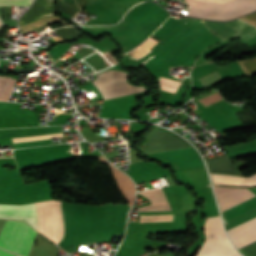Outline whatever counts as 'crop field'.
Listing matches in <instances>:
<instances>
[{
	"label": "crop field",
	"instance_id": "crop-field-1",
	"mask_svg": "<svg viewBox=\"0 0 256 256\" xmlns=\"http://www.w3.org/2000/svg\"><path fill=\"white\" fill-rule=\"evenodd\" d=\"M215 195L218 199L221 212L255 196L248 189H233V188H221L213 187ZM256 208V196L223 212V222H227L235 217H238L250 210Z\"/></svg>",
	"mask_w": 256,
	"mask_h": 256
},
{
	"label": "crop field",
	"instance_id": "crop-field-2",
	"mask_svg": "<svg viewBox=\"0 0 256 256\" xmlns=\"http://www.w3.org/2000/svg\"><path fill=\"white\" fill-rule=\"evenodd\" d=\"M203 231L206 240L195 256H241L225 237L219 216L206 218Z\"/></svg>",
	"mask_w": 256,
	"mask_h": 256
},
{
	"label": "crop field",
	"instance_id": "crop-field-3",
	"mask_svg": "<svg viewBox=\"0 0 256 256\" xmlns=\"http://www.w3.org/2000/svg\"><path fill=\"white\" fill-rule=\"evenodd\" d=\"M35 234L23 221L7 220L0 233V247L27 256Z\"/></svg>",
	"mask_w": 256,
	"mask_h": 256
},
{
	"label": "crop field",
	"instance_id": "crop-field-4",
	"mask_svg": "<svg viewBox=\"0 0 256 256\" xmlns=\"http://www.w3.org/2000/svg\"><path fill=\"white\" fill-rule=\"evenodd\" d=\"M92 83L101 92L104 100L144 91V87L135 88L125 81L129 76L118 70H109L96 75Z\"/></svg>",
	"mask_w": 256,
	"mask_h": 256
},
{
	"label": "crop field",
	"instance_id": "crop-field-5",
	"mask_svg": "<svg viewBox=\"0 0 256 256\" xmlns=\"http://www.w3.org/2000/svg\"><path fill=\"white\" fill-rule=\"evenodd\" d=\"M227 234L237 249L256 241V218L228 230ZM239 251L245 256H256V242L239 249Z\"/></svg>",
	"mask_w": 256,
	"mask_h": 256
},
{
	"label": "crop field",
	"instance_id": "crop-field-6",
	"mask_svg": "<svg viewBox=\"0 0 256 256\" xmlns=\"http://www.w3.org/2000/svg\"><path fill=\"white\" fill-rule=\"evenodd\" d=\"M206 26H208L213 32L226 40L232 39L238 36L242 42L250 39L256 35V28L239 20H233L229 22H211L203 20Z\"/></svg>",
	"mask_w": 256,
	"mask_h": 256
},
{
	"label": "crop field",
	"instance_id": "crop-field-7",
	"mask_svg": "<svg viewBox=\"0 0 256 256\" xmlns=\"http://www.w3.org/2000/svg\"><path fill=\"white\" fill-rule=\"evenodd\" d=\"M255 10H256V0H253L247 4L228 10L226 12L206 11L203 9L190 8L189 16L206 18V19L229 20Z\"/></svg>",
	"mask_w": 256,
	"mask_h": 256
},
{
	"label": "crop field",
	"instance_id": "crop-field-8",
	"mask_svg": "<svg viewBox=\"0 0 256 256\" xmlns=\"http://www.w3.org/2000/svg\"><path fill=\"white\" fill-rule=\"evenodd\" d=\"M0 217L23 219L36 229L33 203L22 205L0 204Z\"/></svg>",
	"mask_w": 256,
	"mask_h": 256
},
{
	"label": "crop field",
	"instance_id": "crop-field-9",
	"mask_svg": "<svg viewBox=\"0 0 256 256\" xmlns=\"http://www.w3.org/2000/svg\"><path fill=\"white\" fill-rule=\"evenodd\" d=\"M56 13L53 0H36L30 9L22 15L19 25L39 20Z\"/></svg>",
	"mask_w": 256,
	"mask_h": 256
},
{
	"label": "crop field",
	"instance_id": "crop-field-10",
	"mask_svg": "<svg viewBox=\"0 0 256 256\" xmlns=\"http://www.w3.org/2000/svg\"><path fill=\"white\" fill-rule=\"evenodd\" d=\"M209 172L238 175L237 170L227 154L205 160Z\"/></svg>",
	"mask_w": 256,
	"mask_h": 256
},
{
	"label": "crop field",
	"instance_id": "crop-field-11",
	"mask_svg": "<svg viewBox=\"0 0 256 256\" xmlns=\"http://www.w3.org/2000/svg\"><path fill=\"white\" fill-rule=\"evenodd\" d=\"M151 201V205L140 208L138 211L171 210L161 188L140 192Z\"/></svg>",
	"mask_w": 256,
	"mask_h": 256
},
{
	"label": "crop field",
	"instance_id": "crop-field-12",
	"mask_svg": "<svg viewBox=\"0 0 256 256\" xmlns=\"http://www.w3.org/2000/svg\"><path fill=\"white\" fill-rule=\"evenodd\" d=\"M214 185L256 186V174L245 178L231 175L210 174Z\"/></svg>",
	"mask_w": 256,
	"mask_h": 256
},
{
	"label": "crop field",
	"instance_id": "crop-field-13",
	"mask_svg": "<svg viewBox=\"0 0 256 256\" xmlns=\"http://www.w3.org/2000/svg\"><path fill=\"white\" fill-rule=\"evenodd\" d=\"M16 80L0 77V101H7Z\"/></svg>",
	"mask_w": 256,
	"mask_h": 256
},
{
	"label": "crop field",
	"instance_id": "crop-field-14",
	"mask_svg": "<svg viewBox=\"0 0 256 256\" xmlns=\"http://www.w3.org/2000/svg\"><path fill=\"white\" fill-rule=\"evenodd\" d=\"M198 32L192 31L166 58L172 62L184 49L185 47L198 35Z\"/></svg>",
	"mask_w": 256,
	"mask_h": 256
},
{
	"label": "crop field",
	"instance_id": "crop-field-15",
	"mask_svg": "<svg viewBox=\"0 0 256 256\" xmlns=\"http://www.w3.org/2000/svg\"><path fill=\"white\" fill-rule=\"evenodd\" d=\"M200 80H201V83H202L204 89H206V88L212 86L213 84L221 81L217 71H215V72H213V73H211L207 76H204V77L200 78Z\"/></svg>",
	"mask_w": 256,
	"mask_h": 256
},
{
	"label": "crop field",
	"instance_id": "crop-field-16",
	"mask_svg": "<svg viewBox=\"0 0 256 256\" xmlns=\"http://www.w3.org/2000/svg\"><path fill=\"white\" fill-rule=\"evenodd\" d=\"M75 29V28H74ZM72 27H64L60 28L58 30H55V32L63 39H72L79 35V33L74 30Z\"/></svg>",
	"mask_w": 256,
	"mask_h": 256
},
{
	"label": "crop field",
	"instance_id": "crop-field-17",
	"mask_svg": "<svg viewBox=\"0 0 256 256\" xmlns=\"http://www.w3.org/2000/svg\"><path fill=\"white\" fill-rule=\"evenodd\" d=\"M33 0H0V6H30Z\"/></svg>",
	"mask_w": 256,
	"mask_h": 256
},
{
	"label": "crop field",
	"instance_id": "crop-field-18",
	"mask_svg": "<svg viewBox=\"0 0 256 256\" xmlns=\"http://www.w3.org/2000/svg\"><path fill=\"white\" fill-rule=\"evenodd\" d=\"M58 6H59V10L67 13L68 15H70V16H72L74 18L78 14L71 7H69L63 0L58 2Z\"/></svg>",
	"mask_w": 256,
	"mask_h": 256
},
{
	"label": "crop field",
	"instance_id": "crop-field-19",
	"mask_svg": "<svg viewBox=\"0 0 256 256\" xmlns=\"http://www.w3.org/2000/svg\"><path fill=\"white\" fill-rule=\"evenodd\" d=\"M244 65L246 66L250 74L256 72V58L249 60L247 62H244Z\"/></svg>",
	"mask_w": 256,
	"mask_h": 256
},
{
	"label": "crop field",
	"instance_id": "crop-field-20",
	"mask_svg": "<svg viewBox=\"0 0 256 256\" xmlns=\"http://www.w3.org/2000/svg\"><path fill=\"white\" fill-rule=\"evenodd\" d=\"M0 256H16V255L0 249Z\"/></svg>",
	"mask_w": 256,
	"mask_h": 256
},
{
	"label": "crop field",
	"instance_id": "crop-field-21",
	"mask_svg": "<svg viewBox=\"0 0 256 256\" xmlns=\"http://www.w3.org/2000/svg\"><path fill=\"white\" fill-rule=\"evenodd\" d=\"M244 17H246V18H248V19H250V20H252V21H255V22H256V12H255V13H253V14H250V15L244 16ZM244 17H243V18H244Z\"/></svg>",
	"mask_w": 256,
	"mask_h": 256
},
{
	"label": "crop field",
	"instance_id": "crop-field-22",
	"mask_svg": "<svg viewBox=\"0 0 256 256\" xmlns=\"http://www.w3.org/2000/svg\"><path fill=\"white\" fill-rule=\"evenodd\" d=\"M147 256H161V255H157V254H155V253H152V254L147 255Z\"/></svg>",
	"mask_w": 256,
	"mask_h": 256
},
{
	"label": "crop field",
	"instance_id": "crop-field-23",
	"mask_svg": "<svg viewBox=\"0 0 256 256\" xmlns=\"http://www.w3.org/2000/svg\"><path fill=\"white\" fill-rule=\"evenodd\" d=\"M0 26H1V23H0Z\"/></svg>",
	"mask_w": 256,
	"mask_h": 256
},
{
	"label": "crop field",
	"instance_id": "crop-field-24",
	"mask_svg": "<svg viewBox=\"0 0 256 256\" xmlns=\"http://www.w3.org/2000/svg\"><path fill=\"white\" fill-rule=\"evenodd\" d=\"M1 32V31H0Z\"/></svg>",
	"mask_w": 256,
	"mask_h": 256
}]
</instances>
